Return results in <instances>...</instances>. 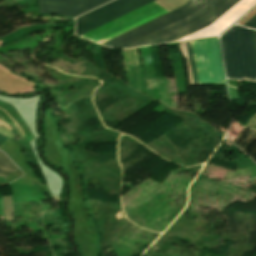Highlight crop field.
Here are the masks:
<instances>
[{
    "label": "crop field",
    "instance_id": "8a807250",
    "mask_svg": "<svg viewBox=\"0 0 256 256\" xmlns=\"http://www.w3.org/2000/svg\"><path fill=\"white\" fill-rule=\"evenodd\" d=\"M211 1L212 0H191L183 7L152 22H149L135 30H132L120 37H117L105 43L104 45L125 48L141 39H144L158 31H161L196 14ZM239 1L240 0H213L196 15L161 32H158L142 41H139L127 48L154 43L177 41L211 25Z\"/></svg>",
    "mask_w": 256,
    "mask_h": 256
},
{
    "label": "crop field",
    "instance_id": "ac0d7876",
    "mask_svg": "<svg viewBox=\"0 0 256 256\" xmlns=\"http://www.w3.org/2000/svg\"><path fill=\"white\" fill-rule=\"evenodd\" d=\"M220 40L227 77L256 81V55L251 30L235 26Z\"/></svg>",
    "mask_w": 256,
    "mask_h": 256
},
{
    "label": "crop field",
    "instance_id": "34b2d1b8",
    "mask_svg": "<svg viewBox=\"0 0 256 256\" xmlns=\"http://www.w3.org/2000/svg\"><path fill=\"white\" fill-rule=\"evenodd\" d=\"M155 0H116L77 19L76 35L81 36Z\"/></svg>",
    "mask_w": 256,
    "mask_h": 256
},
{
    "label": "crop field",
    "instance_id": "412701ff",
    "mask_svg": "<svg viewBox=\"0 0 256 256\" xmlns=\"http://www.w3.org/2000/svg\"><path fill=\"white\" fill-rule=\"evenodd\" d=\"M192 43L200 82L225 83L217 38Z\"/></svg>",
    "mask_w": 256,
    "mask_h": 256
},
{
    "label": "crop field",
    "instance_id": "f4fd0767",
    "mask_svg": "<svg viewBox=\"0 0 256 256\" xmlns=\"http://www.w3.org/2000/svg\"><path fill=\"white\" fill-rule=\"evenodd\" d=\"M111 0H38L39 12L46 14L80 16Z\"/></svg>",
    "mask_w": 256,
    "mask_h": 256
},
{
    "label": "crop field",
    "instance_id": "dd49c442",
    "mask_svg": "<svg viewBox=\"0 0 256 256\" xmlns=\"http://www.w3.org/2000/svg\"><path fill=\"white\" fill-rule=\"evenodd\" d=\"M17 170L19 169L0 151V175L6 177Z\"/></svg>",
    "mask_w": 256,
    "mask_h": 256
},
{
    "label": "crop field",
    "instance_id": "e52e79f7",
    "mask_svg": "<svg viewBox=\"0 0 256 256\" xmlns=\"http://www.w3.org/2000/svg\"><path fill=\"white\" fill-rule=\"evenodd\" d=\"M194 84H199L191 41L186 42Z\"/></svg>",
    "mask_w": 256,
    "mask_h": 256
},
{
    "label": "crop field",
    "instance_id": "d8731c3e",
    "mask_svg": "<svg viewBox=\"0 0 256 256\" xmlns=\"http://www.w3.org/2000/svg\"><path fill=\"white\" fill-rule=\"evenodd\" d=\"M4 220L12 219L11 196H3Z\"/></svg>",
    "mask_w": 256,
    "mask_h": 256
},
{
    "label": "crop field",
    "instance_id": "5a996713",
    "mask_svg": "<svg viewBox=\"0 0 256 256\" xmlns=\"http://www.w3.org/2000/svg\"><path fill=\"white\" fill-rule=\"evenodd\" d=\"M164 13H166V12L163 11V12H161V13H159V14H157V15H155V16L149 18V19H146V20H144V21H142V22H140V23H138V24H136V25H134V26H132V27H130V28H127V29H125V30H123V31H121V32H119V33L113 35V36H110V37H108V38H106V39H104V40H102V41H100V42H98V43L102 44V43H104V42H106V41H108V40H110V39H112V38H114V37H116V36L122 34V33H125V32H127V31H129V30H131V29H133V28H135V27H137V26H139V25H141V24H143V23H146V22H148V21H150V20H152V19H154V18H156V17H158V16H160V15H162V14H164Z\"/></svg>",
    "mask_w": 256,
    "mask_h": 256
},
{
    "label": "crop field",
    "instance_id": "3316defc",
    "mask_svg": "<svg viewBox=\"0 0 256 256\" xmlns=\"http://www.w3.org/2000/svg\"><path fill=\"white\" fill-rule=\"evenodd\" d=\"M244 26H248V27H252V28H256V15L253 16L250 20H248L245 24H243Z\"/></svg>",
    "mask_w": 256,
    "mask_h": 256
},
{
    "label": "crop field",
    "instance_id": "28ad6ade",
    "mask_svg": "<svg viewBox=\"0 0 256 256\" xmlns=\"http://www.w3.org/2000/svg\"><path fill=\"white\" fill-rule=\"evenodd\" d=\"M7 138H5V137H3V136H1L0 135V144L4 141V140H6Z\"/></svg>",
    "mask_w": 256,
    "mask_h": 256
},
{
    "label": "crop field",
    "instance_id": "d1516ede",
    "mask_svg": "<svg viewBox=\"0 0 256 256\" xmlns=\"http://www.w3.org/2000/svg\"><path fill=\"white\" fill-rule=\"evenodd\" d=\"M253 32H254V38H255V44H256V31L253 30Z\"/></svg>",
    "mask_w": 256,
    "mask_h": 256
},
{
    "label": "crop field",
    "instance_id": "22f410ed",
    "mask_svg": "<svg viewBox=\"0 0 256 256\" xmlns=\"http://www.w3.org/2000/svg\"><path fill=\"white\" fill-rule=\"evenodd\" d=\"M1 119H3L2 117H0ZM4 120V119H3Z\"/></svg>",
    "mask_w": 256,
    "mask_h": 256
}]
</instances>
